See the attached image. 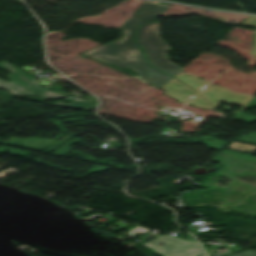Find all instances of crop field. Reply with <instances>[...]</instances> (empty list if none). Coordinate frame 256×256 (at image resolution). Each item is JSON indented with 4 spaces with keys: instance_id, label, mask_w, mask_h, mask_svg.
<instances>
[{
    "instance_id": "obj_1",
    "label": "crop field",
    "mask_w": 256,
    "mask_h": 256,
    "mask_svg": "<svg viewBox=\"0 0 256 256\" xmlns=\"http://www.w3.org/2000/svg\"><path fill=\"white\" fill-rule=\"evenodd\" d=\"M167 6L142 3L130 19L122 25L123 34L118 42L104 44L84 55L105 63L120 67H130L145 77L151 85L160 87L172 77L151 68L145 61L134 41L136 29L143 23L154 18Z\"/></svg>"
},
{
    "instance_id": "obj_2",
    "label": "crop field",
    "mask_w": 256,
    "mask_h": 256,
    "mask_svg": "<svg viewBox=\"0 0 256 256\" xmlns=\"http://www.w3.org/2000/svg\"><path fill=\"white\" fill-rule=\"evenodd\" d=\"M0 68L11 73L9 76H7L10 78V83L0 80V87L9 89L10 90L9 92L15 95H38L43 99L58 98V97L65 96L63 94L51 92V91L40 88V85L36 82V80L32 76L24 73L23 71L17 69L16 67L12 66L11 64L5 61L0 63ZM14 78L21 81L20 82L12 81ZM35 92L39 94H34ZM66 100L67 101L72 100V103L71 104H66L62 102H55V103L60 105L85 109V110H90L94 106L92 102H88V101L77 99V98L67 97ZM75 103H78L79 105H76Z\"/></svg>"
},
{
    "instance_id": "obj_3",
    "label": "crop field",
    "mask_w": 256,
    "mask_h": 256,
    "mask_svg": "<svg viewBox=\"0 0 256 256\" xmlns=\"http://www.w3.org/2000/svg\"><path fill=\"white\" fill-rule=\"evenodd\" d=\"M136 38L152 66L172 76L182 70L168 61L165 51L169 46L159 38L157 22L138 29Z\"/></svg>"
},
{
    "instance_id": "obj_4",
    "label": "crop field",
    "mask_w": 256,
    "mask_h": 256,
    "mask_svg": "<svg viewBox=\"0 0 256 256\" xmlns=\"http://www.w3.org/2000/svg\"><path fill=\"white\" fill-rule=\"evenodd\" d=\"M164 244L163 246H159ZM154 251L158 252L162 256H198L201 253V249L193 241H184L180 238H172L167 235L158 237L152 241L143 244Z\"/></svg>"
},
{
    "instance_id": "obj_5",
    "label": "crop field",
    "mask_w": 256,
    "mask_h": 256,
    "mask_svg": "<svg viewBox=\"0 0 256 256\" xmlns=\"http://www.w3.org/2000/svg\"><path fill=\"white\" fill-rule=\"evenodd\" d=\"M160 88L166 91L164 94L170 97H175L176 99H179L185 103L189 99H191L195 94H197L193 89H191L190 87L186 86L185 84L179 82L174 78L169 80Z\"/></svg>"
},
{
    "instance_id": "obj_6",
    "label": "crop field",
    "mask_w": 256,
    "mask_h": 256,
    "mask_svg": "<svg viewBox=\"0 0 256 256\" xmlns=\"http://www.w3.org/2000/svg\"><path fill=\"white\" fill-rule=\"evenodd\" d=\"M231 91L217 86L208 85L200 93L215 108L226 98Z\"/></svg>"
},
{
    "instance_id": "obj_7",
    "label": "crop field",
    "mask_w": 256,
    "mask_h": 256,
    "mask_svg": "<svg viewBox=\"0 0 256 256\" xmlns=\"http://www.w3.org/2000/svg\"><path fill=\"white\" fill-rule=\"evenodd\" d=\"M181 80L182 82L186 83L187 85L195 88L198 92L200 89L206 84V82L202 81L201 79L185 74V73H178L176 76H174Z\"/></svg>"
},
{
    "instance_id": "obj_8",
    "label": "crop field",
    "mask_w": 256,
    "mask_h": 256,
    "mask_svg": "<svg viewBox=\"0 0 256 256\" xmlns=\"http://www.w3.org/2000/svg\"><path fill=\"white\" fill-rule=\"evenodd\" d=\"M250 97V95L239 94L231 92L228 97L224 100V102L236 104L242 106L246 100ZM248 101V100H247Z\"/></svg>"
},
{
    "instance_id": "obj_9",
    "label": "crop field",
    "mask_w": 256,
    "mask_h": 256,
    "mask_svg": "<svg viewBox=\"0 0 256 256\" xmlns=\"http://www.w3.org/2000/svg\"><path fill=\"white\" fill-rule=\"evenodd\" d=\"M194 106L202 107V108H212L206 101H204L199 95L190 102Z\"/></svg>"
},
{
    "instance_id": "obj_10",
    "label": "crop field",
    "mask_w": 256,
    "mask_h": 256,
    "mask_svg": "<svg viewBox=\"0 0 256 256\" xmlns=\"http://www.w3.org/2000/svg\"><path fill=\"white\" fill-rule=\"evenodd\" d=\"M231 147L237 148V149L248 150V151L256 150V146H249V145H244L241 143H233Z\"/></svg>"
},
{
    "instance_id": "obj_11",
    "label": "crop field",
    "mask_w": 256,
    "mask_h": 256,
    "mask_svg": "<svg viewBox=\"0 0 256 256\" xmlns=\"http://www.w3.org/2000/svg\"><path fill=\"white\" fill-rule=\"evenodd\" d=\"M243 24H248V25H254L256 26V17L254 16H250L249 18H247L244 22H242Z\"/></svg>"
},
{
    "instance_id": "obj_12",
    "label": "crop field",
    "mask_w": 256,
    "mask_h": 256,
    "mask_svg": "<svg viewBox=\"0 0 256 256\" xmlns=\"http://www.w3.org/2000/svg\"><path fill=\"white\" fill-rule=\"evenodd\" d=\"M232 256H256V252H254V251H245V252L238 253V254H235V255H232Z\"/></svg>"
},
{
    "instance_id": "obj_13",
    "label": "crop field",
    "mask_w": 256,
    "mask_h": 256,
    "mask_svg": "<svg viewBox=\"0 0 256 256\" xmlns=\"http://www.w3.org/2000/svg\"><path fill=\"white\" fill-rule=\"evenodd\" d=\"M254 45L256 47V32L254 33ZM252 55L256 56V48L252 51Z\"/></svg>"
},
{
    "instance_id": "obj_14",
    "label": "crop field",
    "mask_w": 256,
    "mask_h": 256,
    "mask_svg": "<svg viewBox=\"0 0 256 256\" xmlns=\"http://www.w3.org/2000/svg\"><path fill=\"white\" fill-rule=\"evenodd\" d=\"M200 256H205V255L203 254V255H200Z\"/></svg>"
}]
</instances>
